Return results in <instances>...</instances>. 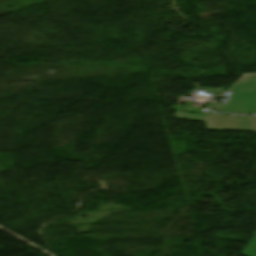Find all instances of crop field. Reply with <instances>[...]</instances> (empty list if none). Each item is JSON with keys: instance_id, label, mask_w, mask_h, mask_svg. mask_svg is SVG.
I'll return each instance as SVG.
<instances>
[{"instance_id": "crop-field-1", "label": "crop field", "mask_w": 256, "mask_h": 256, "mask_svg": "<svg viewBox=\"0 0 256 256\" xmlns=\"http://www.w3.org/2000/svg\"><path fill=\"white\" fill-rule=\"evenodd\" d=\"M231 91L223 105L211 108L227 114H256V75L245 76Z\"/></svg>"}, {"instance_id": "crop-field-2", "label": "crop field", "mask_w": 256, "mask_h": 256, "mask_svg": "<svg viewBox=\"0 0 256 256\" xmlns=\"http://www.w3.org/2000/svg\"><path fill=\"white\" fill-rule=\"evenodd\" d=\"M208 129L256 132V117H229L204 110Z\"/></svg>"}, {"instance_id": "crop-field-3", "label": "crop field", "mask_w": 256, "mask_h": 256, "mask_svg": "<svg viewBox=\"0 0 256 256\" xmlns=\"http://www.w3.org/2000/svg\"><path fill=\"white\" fill-rule=\"evenodd\" d=\"M256 235V232L253 233ZM245 256H256V236L250 241L245 250L242 252Z\"/></svg>"}]
</instances>
